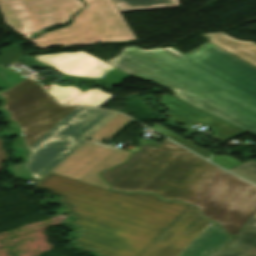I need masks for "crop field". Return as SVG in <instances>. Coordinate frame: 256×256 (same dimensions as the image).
<instances>
[{"instance_id":"obj_1","label":"crop field","mask_w":256,"mask_h":256,"mask_svg":"<svg viewBox=\"0 0 256 256\" xmlns=\"http://www.w3.org/2000/svg\"><path fill=\"white\" fill-rule=\"evenodd\" d=\"M111 190L157 193L197 206L201 215L231 236L256 212V186L166 139L143 144L127 163L100 173Z\"/></svg>"},{"instance_id":"obj_2","label":"crop field","mask_w":256,"mask_h":256,"mask_svg":"<svg viewBox=\"0 0 256 256\" xmlns=\"http://www.w3.org/2000/svg\"><path fill=\"white\" fill-rule=\"evenodd\" d=\"M256 136V67L206 43L178 58L130 47L106 62Z\"/></svg>"},{"instance_id":"obj_19","label":"crop field","mask_w":256,"mask_h":256,"mask_svg":"<svg viewBox=\"0 0 256 256\" xmlns=\"http://www.w3.org/2000/svg\"><path fill=\"white\" fill-rule=\"evenodd\" d=\"M0 144H1V140H0ZM8 159V155L6 154V152L2 149V147L0 146V164L2 161ZM2 170V167L0 165V172Z\"/></svg>"},{"instance_id":"obj_21","label":"crop field","mask_w":256,"mask_h":256,"mask_svg":"<svg viewBox=\"0 0 256 256\" xmlns=\"http://www.w3.org/2000/svg\"><path fill=\"white\" fill-rule=\"evenodd\" d=\"M2 67H0V69H1ZM0 86H3V87H5V88H8L7 86H6V84L2 81V79L0 78Z\"/></svg>"},{"instance_id":"obj_4","label":"crop field","mask_w":256,"mask_h":256,"mask_svg":"<svg viewBox=\"0 0 256 256\" xmlns=\"http://www.w3.org/2000/svg\"><path fill=\"white\" fill-rule=\"evenodd\" d=\"M87 5L71 25L40 35L29 36L44 28L66 23L83 8L79 0H20L0 2L7 25L40 49L54 45H89L96 42L135 40L111 0H83Z\"/></svg>"},{"instance_id":"obj_12","label":"crop field","mask_w":256,"mask_h":256,"mask_svg":"<svg viewBox=\"0 0 256 256\" xmlns=\"http://www.w3.org/2000/svg\"><path fill=\"white\" fill-rule=\"evenodd\" d=\"M216 256H256V213Z\"/></svg>"},{"instance_id":"obj_15","label":"crop field","mask_w":256,"mask_h":256,"mask_svg":"<svg viewBox=\"0 0 256 256\" xmlns=\"http://www.w3.org/2000/svg\"><path fill=\"white\" fill-rule=\"evenodd\" d=\"M129 119L130 118L119 114L113 120L111 119L112 121L109 122L106 126H104L102 129H100L94 135H92L91 138H93V139H95V141H99V142H101L104 139L110 141L114 137L113 135H110V134L112 132H114L117 128H119L122 124H124Z\"/></svg>"},{"instance_id":"obj_3","label":"crop field","mask_w":256,"mask_h":256,"mask_svg":"<svg viewBox=\"0 0 256 256\" xmlns=\"http://www.w3.org/2000/svg\"><path fill=\"white\" fill-rule=\"evenodd\" d=\"M9 87L0 91V109L19 128L29 151L22 165L11 171L22 180H38L58 165L118 113L91 107H61L35 81L0 70Z\"/></svg>"},{"instance_id":"obj_8","label":"crop field","mask_w":256,"mask_h":256,"mask_svg":"<svg viewBox=\"0 0 256 256\" xmlns=\"http://www.w3.org/2000/svg\"><path fill=\"white\" fill-rule=\"evenodd\" d=\"M33 59L65 74L62 76L64 78L74 77L79 80L117 85L130 76L83 51L35 56Z\"/></svg>"},{"instance_id":"obj_6","label":"crop field","mask_w":256,"mask_h":256,"mask_svg":"<svg viewBox=\"0 0 256 256\" xmlns=\"http://www.w3.org/2000/svg\"><path fill=\"white\" fill-rule=\"evenodd\" d=\"M36 187L107 210L171 228L192 206L169 202L147 193L102 189L51 172Z\"/></svg>"},{"instance_id":"obj_14","label":"crop field","mask_w":256,"mask_h":256,"mask_svg":"<svg viewBox=\"0 0 256 256\" xmlns=\"http://www.w3.org/2000/svg\"><path fill=\"white\" fill-rule=\"evenodd\" d=\"M121 12L178 7L177 0H114Z\"/></svg>"},{"instance_id":"obj_17","label":"crop field","mask_w":256,"mask_h":256,"mask_svg":"<svg viewBox=\"0 0 256 256\" xmlns=\"http://www.w3.org/2000/svg\"><path fill=\"white\" fill-rule=\"evenodd\" d=\"M0 135H16L17 136V140L14 143H12V147L18 151H23V152L17 153L16 155L19 156L20 158H22L23 161H25L28 151L22 143V140L20 138V132H19L18 128L3 131L0 133Z\"/></svg>"},{"instance_id":"obj_18","label":"crop field","mask_w":256,"mask_h":256,"mask_svg":"<svg viewBox=\"0 0 256 256\" xmlns=\"http://www.w3.org/2000/svg\"><path fill=\"white\" fill-rule=\"evenodd\" d=\"M20 53H21V50L19 46L12 45L8 47L6 50H4V52L0 56V65L4 67L7 66L13 60H15Z\"/></svg>"},{"instance_id":"obj_11","label":"crop field","mask_w":256,"mask_h":256,"mask_svg":"<svg viewBox=\"0 0 256 256\" xmlns=\"http://www.w3.org/2000/svg\"><path fill=\"white\" fill-rule=\"evenodd\" d=\"M48 85L51 88L48 90L50 94L60 103L65 105H89L100 107L111 98L110 94L104 93L97 88L81 92L74 86L64 87L54 83Z\"/></svg>"},{"instance_id":"obj_16","label":"crop field","mask_w":256,"mask_h":256,"mask_svg":"<svg viewBox=\"0 0 256 256\" xmlns=\"http://www.w3.org/2000/svg\"><path fill=\"white\" fill-rule=\"evenodd\" d=\"M228 171L256 183V162L253 160L240 164Z\"/></svg>"},{"instance_id":"obj_13","label":"crop field","mask_w":256,"mask_h":256,"mask_svg":"<svg viewBox=\"0 0 256 256\" xmlns=\"http://www.w3.org/2000/svg\"><path fill=\"white\" fill-rule=\"evenodd\" d=\"M198 35L256 66V43L232 38L224 32Z\"/></svg>"},{"instance_id":"obj_9","label":"crop field","mask_w":256,"mask_h":256,"mask_svg":"<svg viewBox=\"0 0 256 256\" xmlns=\"http://www.w3.org/2000/svg\"><path fill=\"white\" fill-rule=\"evenodd\" d=\"M209 223L193 206L143 256H177Z\"/></svg>"},{"instance_id":"obj_5","label":"crop field","mask_w":256,"mask_h":256,"mask_svg":"<svg viewBox=\"0 0 256 256\" xmlns=\"http://www.w3.org/2000/svg\"><path fill=\"white\" fill-rule=\"evenodd\" d=\"M61 202L82 226L74 242L108 256H142L169 228L107 211L67 198Z\"/></svg>"},{"instance_id":"obj_22","label":"crop field","mask_w":256,"mask_h":256,"mask_svg":"<svg viewBox=\"0 0 256 256\" xmlns=\"http://www.w3.org/2000/svg\"><path fill=\"white\" fill-rule=\"evenodd\" d=\"M0 1H4V0H0Z\"/></svg>"},{"instance_id":"obj_7","label":"crop field","mask_w":256,"mask_h":256,"mask_svg":"<svg viewBox=\"0 0 256 256\" xmlns=\"http://www.w3.org/2000/svg\"><path fill=\"white\" fill-rule=\"evenodd\" d=\"M130 152L94 142H86L53 172L109 189L98 173L124 162Z\"/></svg>"},{"instance_id":"obj_20","label":"crop field","mask_w":256,"mask_h":256,"mask_svg":"<svg viewBox=\"0 0 256 256\" xmlns=\"http://www.w3.org/2000/svg\"><path fill=\"white\" fill-rule=\"evenodd\" d=\"M167 50H169L170 52H172V53H174L175 55H177V56H181V55H183V54H181L180 52H178L177 50H175V49H173V48H167Z\"/></svg>"},{"instance_id":"obj_10","label":"crop field","mask_w":256,"mask_h":256,"mask_svg":"<svg viewBox=\"0 0 256 256\" xmlns=\"http://www.w3.org/2000/svg\"><path fill=\"white\" fill-rule=\"evenodd\" d=\"M231 239L211 222L178 256H215Z\"/></svg>"}]
</instances>
